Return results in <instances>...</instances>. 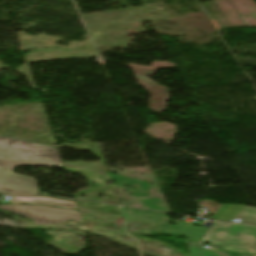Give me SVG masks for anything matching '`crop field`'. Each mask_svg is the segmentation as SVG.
Listing matches in <instances>:
<instances>
[{
    "mask_svg": "<svg viewBox=\"0 0 256 256\" xmlns=\"http://www.w3.org/2000/svg\"><path fill=\"white\" fill-rule=\"evenodd\" d=\"M127 221L146 224L151 234H179V231L169 225L170 219L163 214L141 212L126 207L123 208Z\"/></svg>",
    "mask_w": 256,
    "mask_h": 256,
    "instance_id": "crop-field-4",
    "label": "crop field"
},
{
    "mask_svg": "<svg viewBox=\"0 0 256 256\" xmlns=\"http://www.w3.org/2000/svg\"><path fill=\"white\" fill-rule=\"evenodd\" d=\"M0 209L29 218L37 225L67 223V219L83 222L80 212L75 210L56 209L36 205H6Z\"/></svg>",
    "mask_w": 256,
    "mask_h": 256,
    "instance_id": "crop-field-3",
    "label": "crop field"
},
{
    "mask_svg": "<svg viewBox=\"0 0 256 256\" xmlns=\"http://www.w3.org/2000/svg\"><path fill=\"white\" fill-rule=\"evenodd\" d=\"M14 203H39V204L55 205V206H62V207H68V208H77L75 202L64 201L56 198L12 197L10 204H14Z\"/></svg>",
    "mask_w": 256,
    "mask_h": 256,
    "instance_id": "crop-field-7",
    "label": "crop field"
},
{
    "mask_svg": "<svg viewBox=\"0 0 256 256\" xmlns=\"http://www.w3.org/2000/svg\"><path fill=\"white\" fill-rule=\"evenodd\" d=\"M110 175L114 184L118 186L124 185L127 187L126 191L128 192L129 195H134L136 197L149 196L147 192V185L145 182L122 177V176H117L113 174H110ZM142 201L145 202L146 207L149 209L165 211L160 199L150 198Z\"/></svg>",
    "mask_w": 256,
    "mask_h": 256,
    "instance_id": "crop-field-5",
    "label": "crop field"
},
{
    "mask_svg": "<svg viewBox=\"0 0 256 256\" xmlns=\"http://www.w3.org/2000/svg\"><path fill=\"white\" fill-rule=\"evenodd\" d=\"M200 242L216 244L245 254H256V226L216 222L207 229Z\"/></svg>",
    "mask_w": 256,
    "mask_h": 256,
    "instance_id": "crop-field-2",
    "label": "crop field"
},
{
    "mask_svg": "<svg viewBox=\"0 0 256 256\" xmlns=\"http://www.w3.org/2000/svg\"><path fill=\"white\" fill-rule=\"evenodd\" d=\"M17 166L63 167L54 147L0 136V193L38 195L35 179L12 172Z\"/></svg>",
    "mask_w": 256,
    "mask_h": 256,
    "instance_id": "crop-field-1",
    "label": "crop field"
},
{
    "mask_svg": "<svg viewBox=\"0 0 256 256\" xmlns=\"http://www.w3.org/2000/svg\"><path fill=\"white\" fill-rule=\"evenodd\" d=\"M240 219L245 223L256 224V208L244 206L240 213L234 219Z\"/></svg>",
    "mask_w": 256,
    "mask_h": 256,
    "instance_id": "crop-field-8",
    "label": "crop field"
},
{
    "mask_svg": "<svg viewBox=\"0 0 256 256\" xmlns=\"http://www.w3.org/2000/svg\"><path fill=\"white\" fill-rule=\"evenodd\" d=\"M187 247V250L191 256H230L224 250L211 246L209 249H205L202 243L194 242V241H184Z\"/></svg>",
    "mask_w": 256,
    "mask_h": 256,
    "instance_id": "crop-field-6",
    "label": "crop field"
}]
</instances>
